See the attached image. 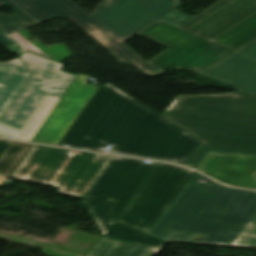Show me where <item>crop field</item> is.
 Masks as SVG:
<instances>
[{"label": "crop field", "mask_w": 256, "mask_h": 256, "mask_svg": "<svg viewBox=\"0 0 256 256\" xmlns=\"http://www.w3.org/2000/svg\"><path fill=\"white\" fill-rule=\"evenodd\" d=\"M29 76L20 58L0 62V116Z\"/></svg>", "instance_id": "15"}, {"label": "crop field", "mask_w": 256, "mask_h": 256, "mask_svg": "<svg viewBox=\"0 0 256 256\" xmlns=\"http://www.w3.org/2000/svg\"><path fill=\"white\" fill-rule=\"evenodd\" d=\"M143 161L113 156L82 201L103 236L162 249L167 242L115 222L158 164Z\"/></svg>", "instance_id": "4"}, {"label": "crop field", "mask_w": 256, "mask_h": 256, "mask_svg": "<svg viewBox=\"0 0 256 256\" xmlns=\"http://www.w3.org/2000/svg\"><path fill=\"white\" fill-rule=\"evenodd\" d=\"M200 180L209 179L197 172L150 235L167 242H232L256 213V192ZM193 234L205 238L191 240Z\"/></svg>", "instance_id": "2"}, {"label": "crop field", "mask_w": 256, "mask_h": 256, "mask_svg": "<svg viewBox=\"0 0 256 256\" xmlns=\"http://www.w3.org/2000/svg\"><path fill=\"white\" fill-rule=\"evenodd\" d=\"M31 73L30 78L0 117V122L22 128L43 95L61 97L76 75L62 71L63 63L24 52L18 54Z\"/></svg>", "instance_id": "9"}, {"label": "crop field", "mask_w": 256, "mask_h": 256, "mask_svg": "<svg viewBox=\"0 0 256 256\" xmlns=\"http://www.w3.org/2000/svg\"><path fill=\"white\" fill-rule=\"evenodd\" d=\"M162 116L203 142L182 164L198 168L209 152L256 155V95L177 96Z\"/></svg>", "instance_id": "3"}, {"label": "crop field", "mask_w": 256, "mask_h": 256, "mask_svg": "<svg viewBox=\"0 0 256 256\" xmlns=\"http://www.w3.org/2000/svg\"><path fill=\"white\" fill-rule=\"evenodd\" d=\"M202 142L117 89L102 84L61 146L181 163Z\"/></svg>", "instance_id": "1"}, {"label": "crop field", "mask_w": 256, "mask_h": 256, "mask_svg": "<svg viewBox=\"0 0 256 256\" xmlns=\"http://www.w3.org/2000/svg\"><path fill=\"white\" fill-rule=\"evenodd\" d=\"M238 51H241L243 53L256 57V39L250 42L249 44L245 45Z\"/></svg>", "instance_id": "23"}, {"label": "crop field", "mask_w": 256, "mask_h": 256, "mask_svg": "<svg viewBox=\"0 0 256 256\" xmlns=\"http://www.w3.org/2000/svg\"><path fill=\"white\" fill-rule=\"evenodd\" d=\"M58 100L59 98L44 96L21 130L0 123V136H15V139L31 141Z\"/></svg>", "instance_id": "16"}, {"label": "crop field", "mask_w": 256, "mask_h": 256, "mask_svg": "<svg viewBox=\"0 0 256 256\" xmlns=\"http://www.w3.org/2000/svg\"><path fill=\"white\" fill-rule=\"evenodd\" d=\"M10 37H12L14 40H16L22 47V51L28 50L37 54H40V52H38L35 48H33L29 43H27L25 40H23L22 38H20L18 35H16L15 33L9 35Z\"/></svg>", "instance_id": "22"}, {"label": "crop field", "mask_w": 256, "mask_h": 256, "mask_svg": "<svg viewBox=\"0 0 256 256\" xmlns=\"http://www.w3.org/2000/svg\"><path fill=\"white\" fill-rule=\"evenodd\" d=\"M11 141L7 140H0V157L4 153V151L7 149Z\"/></svg>", "instance_id": "24"}, {"label": "crop field", "mask_w": 256, "mask_h": 256, "mask_svg": "<svg viewBox=\"0 0 256 256\" xmlns=\"http://www.w3.org/2000/svg\"><path fill=\"white\" fill-rule=\"evenodd\" d=\"M179 5V0H103L90 16L123 42Z\"/></svg>", "instance_id": "10"}, {"label": "crop field", "mask_w": 256, "mask_h": 256, "mask_svg": "<svg viewBox=\"0 0 256 256\" xmlns=\"http://www.w3.org/2000/svg\"><path fill=\"white\" fill-rule=\"evenodd\" d=\"M256 38V13L222 33L213 41L235 50Z\"/></svg>", "instance_id": "18"}, {"label": "crop field", "mask_w": 256, "mask_h": 256, "mask_svg": "<svg viewBox=\"0 0 256 256\" xmlns=\"http://www.w3.org/2000/svg\"><path fill=\"white\" fill-rule=\"evenodd\" d=\"M200 74L232 86L237 91L256 94V59L237 51Z\"/></svg>", "instance_id": "14"}, {"label": "crop field", "mask_w": 256, "mask_h": 256, "mask_svg": "<svg viewBox=\"0 0 256 256\" xmlns=\"http://www.w3.org/2000/svg\"><path fill=\"white\" fill-rule=\"evenodd\" d=\"M0 43L9 49L13 54L18 49L16 43L11 41L2 31H0Z\"/></svg>", "instance_id": "21"}, {"label": "crop field", "mask_w": 256, "mask_h": 256, "mask_svg": "<svg viewBox=\"0 0 256 256\" xmlns=\"http://www.w3.org/2000/svg\"><path fill=\"white\" fill-rule=\"evenodd\" d=\"M35 145L13 179L51 185L83 199L112 156Z\"/></svg>", "instance_id": "5"}, {"label": "crop field", "mask_w": 256, "mask_h": 256, "mask_svg": "<svg viewBox=\"0 0 256 256\" xmlns=\"http://www.w3.org/2000/svg\"><path fill=\"white\" fill-rule=\"evenodd\" d=\"M256 12V0H221L195 17L172 11L160 20L213 39Z\"/></svg>", "instance_id": "11"}, {"label": "crop field", "mask_w": 256, "mask_h": 256, "mask_svg": "<svg viewBox=\"0 0 256 256\" xmlns=\"http://www.w3.org/2000/svg\"><path fill=\"white\" fill-rule=\"evenodd\" d=\"M159 249L102 237L88 256H153Z\"/></svg>", "instance_id": "17"}, {"label": "crop field", "mask_w": 256, "mask_h": 256, "mask_svg": "<svg viewBox=\"0 0 256 256\" xmlns=\"http://www.w3.org/2000/svg\"><path fill=\"white\" fill-rule=\"evenodd\" d=\"M32 147L31 144L12 141L0 158V176L9 177Z\"/></svg>", "instance_id": "19"}, {"label": "crop field", "mask_w": 256, "mask_h": 256, "mask_svg": "<svg viewBox=\"0 0 256 256\" xmlns=\"http://www.w3.org/2000/svg\"><path fill=\"white\" fill-rule=\"evenodd\" d=\"M139 34L170 46L147 62L159 73L169 66L199 73L234 51L159 20Z\"/></svg>", "instance_id": "8"}, {"label": "crop field", "mask_w": 256, "mask_h": 256, "mask_svg": "<svg viewBox=\"0 0 256 256\" xmlns=\"http://www.w3.org/2000/svg\"><path fill=\"white\" fill-rule=\"evenodd\" d=\"M231 245L256 247V216Z\"/></svg>", "instance_id": "20"}, {"label": "crop field", "mask_w": 256, "mask_h": 256, "mask_svg": "<svg viewBox=\"0 0 256 256\" xmlns=\"http://www.w3.org/2000/svg\"><path fill=\"white\" fill-rule=\"evenodd\" d=\"M195 171L159 162L117 222L148 234Z\"/></svg>", "instance_id": "7"}, {"label": "crop field", "mask_w": 256, "mask_h": 256, "mask_svg": "<svg viewBox=\"0 0 256 256\" xmlns=\"http://www.w3.org/2000/svg\"><path fill=\"white\" fill-rule=\"evenodd\" d=\"M16 14L0 13V29L7 35L53 18L68 17L104 46L110 55L124 65L136 67L144 75H160L144 60L97 23L71 0H0Z\"/></svg>", "instance_id": "6"}, {"label": "crop field", "mask_w": 256, "mask_h": 256, "mask_svg": "<svg viewBox=\"0 0 256 256\" xmlns=\"http://www.w3.org/2000/svg\"><path fill=\"white\" fill-rule=\"evenodd\" d=\"M199 171L228 185L256 190V157L211 154Z\"/></svg>", "instance_id": "13"}, {"label": "crop field", "mask_w": 256, "mask_h": 256, "mask_svg": "<svg viewBox=\"0 0 256 256\" xmlns=\"http://www.w3.org/2000/svg\"><path fill=\"white\" fill-rule=\"evenodd\" d=\"M4 179H5V178L0 177V183H1Z\"/></svg>", "instance_id": "25"}, {"label": "crop field", "mask_w": 256, "mask_h": 256, "mask_svg": "<svg viewBox=\"0 0 256 256\" xmlns=\"http://www.w3.org/2000/svg\"><path fill=\"white\" fill-rule=\"evenodd\" d=\"M88 76L77 75L32 141L56 145L89 100L97 86L85 84Z\"/></svg>", "instance_id": "12"}]
</instances>
